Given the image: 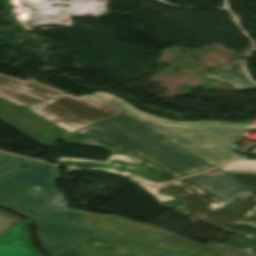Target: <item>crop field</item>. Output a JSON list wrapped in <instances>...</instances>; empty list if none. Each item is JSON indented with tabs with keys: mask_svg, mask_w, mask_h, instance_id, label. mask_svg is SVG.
Here are the masks:
<instances>
[{
	"mask_svg": "<svg viewBox=\"0 0 256 256\" xmlns=\"http://www.w3.org/2000/svg\"><path fill=\"white\" fill-rule=\"evenodd\" d=\"M220 168L225 172H256V160H241Z\"/></svg>",
	"mask_w": 256,
	"mask_h": 256,
	"instance_id": "15",
	"label": "crop field"
},
{
	"mask_svg": "<svg viewBox=\"0 0 256 256\" xmlns=\"http://www.w3.org/2000/svg\"><path fill=\"white\" fill-rule=\"evenodd\" d=\"M93 95L213 167L243 157L233 153L229 146L244 137L241 135L243 131L256 128L255 123L230 121L175 122L140 112L106 93H93Z\"/></svg>",
	"mask_w": 256,
	"mask_h": 256,
	"instance_id": "3",
	"label": "crop field"
},
{
	"mask_svg": "<svg viewBox=\"0 0 256 256\" xmlns=\"http://www.w3.org/2000/svg\"><path fill=\"white\" fill-rule=\"evenodd\" d=\"M33 160L0 153V178Z\"/></svg>",
	"mask_w": 256,
	"mask_h": 256,
	"instance_id": "14",
	"label": "crop field"
},
{
	"mask_svg": "<svg viewBox=\"0 0 256 256\" xmlns=\"http://www.w3.org/2000/svg\"><path fill=\"white\" fill-rule=\"evenodd\" d=\"M0 256H41L28 242L26 229L20 221L0 236Z\"/></svg>",
	"mask_w": 256,
	"mask_h": 256,
	"instance_id": "11",
	"label": "crop field"
},
{
	"mask_svg": "<svg viewBox=\"0 0 256 256\" xmlns=\"http://www.w3.org/2000/svg\"><path fill=\"white\" fill-rule=\"evenodd\" d=\"M65 141L141 157L176 177L213 168L123 113L69 135Z\"/></svg>",
	"mask_w": 256,
	"mask_h": 256,
	"instance_id": "2",
	"label": "crop field"
},
{
	"mask_svg": "<svg viewBox=\"0 0 256 256\" xmlns=\"http://www.w3.org/2000/svg\"><path fill=\"white\" fill-rule=\"evenodd\" d=\"M66 133L54 126L46 136L39 142L43 146L54 145L57 139L62 138Z\"/></svg>",
	"mask_w": 256,
	"mask_h": 256,
	"instance_id": "16",
	"label": "crop field"
},
{
	"mask_svg": "<svg viewBox=\"0 0 256 256\" xmlns=\"http://www.w3.org/2000/svg\"><path fill=\"white\" fill-rule=\"evenodd\" d=\"M250 188L256 190V173H227Z\"/></svg>",
	"mask_w": 256,
	"mask_h": 256,
	"instance_id": "17",
	"label": "crop field"
},
{
	"mask_svg": "<svg viewBox=\"0 0 256 256\" xmlns=\"http://www.w3.org/2000/svg\"><path fill=\"white\" fill-rule=\"evenodd\" d=\"M214 171L216 173L212 175L205 172L188 178L227 201L245 188L243 184L223 174L218 169Z\"/></svg>",
	"mask_w": 256,
	"mask_h": 256,
	"instance_id": "12",
	"label": "crop field"
},
{
	"mask_svg": "<svg viewBox=\"0 0 256 256\" xmlns=\"http://www.w3.org/2000/svg\"><path fill=\"white\" fill-rule=\"evenodd\" d=\"M256 253L211 242L188 256H254ZM55 256H142L91 235Z\"/></svg>",
	"mask_w": 256,
	"mask_h": 256,
	"instance_id": "8",
	"label": "crop field"
},
{
	"mask_svg": "<svg viewBox=\"0 0 256 256\" xmlns=\"http://www.w3.org/2000/svg\"><path fill=\"white\" fill-rule=\"evenodd\" d=\"M34 111L69 132L120 113L92 95L75 97L67 93Z\"/></svg>",
	"mask_w": 256,
	"mask_h": 256,
	"instance_id": "6",
	"label": "crop field"
},
{
	"mask_svg": "<svg viewBox=\"0 0 256 256\" xmlns=\"http://www.w3.org/2000/svg\"><path fill=\"white\" fill-rule=\"evenodd\" d=\"M63 91L35 82L19 80L0 74V98L24 108L37 105Z\"/></svg>",
	"mask_w": 256,
	"mask_h": 256,
	"instance_id": "9",
	"label": "crop field"
},
{
	"mask_svg": "<svg viewBox=\"0 0 256 256\" xmlns=\"http://www.w3.org/2000/svg\"><path fill=\"white\" fill-rule=\"evenodd\" d=\"M78 211L91 235L145 256H186L203 246L152 225Z\"/></svg>",
	"mask_w": 256,
	"mask_h": 256,
	"instance_id": "5",
	"label": "crop field"
},
{
	"mask_svg": "<svg viewBox=\"0 0 256 256\" xmlns=\"http://www.w3.org/2000/svg\"><path fill=\"white\" fill-rule=\"evenodd\" d=\"M19 219L9 216L5 213L0 212V235L8 230L14 223Z\"/></svg>",
	"mask_w": 256,
	"mask_h": 256,
	"instance_id": "18",
	"label": "crop field"
},
{
	"mask_svg": "<svg viewBox=\"0 0 256 256\" xmlns=\"http://www.w3.org/2000/svg\"><path fill=\"white\" fill-rule=\"evenodd\" d=\"M57 177L55 166L34 161L0 179V203L31 215L53 255L89 235L77 210L55 203L63 199L53 185Z\"/></svg>",
	"mask_w": 256,
	"mask_h": 256,
	"instance_id": "1",
	"label": "crop field"
},
{
	"mask_svg": "<svg viewBox=\"0 0 256 256\" xmlns=\"http://www.w3.org/2000/svg\"><path fill=\"white\" fill-rule=\"evenodd\" d=\"M202 76L227 82L237 90H244L256 87L255 85L248 82L244 77L237 76L230 72H224L221 74L203 73Z\"/></svg>",
	"mask_w": 256,
	"mask_h": 256,
	"instance_id": "13",
	"label": "crop field"
},
{
	"mask_svg": "<svg viewBox=\"0 0 256 256\" xmlns=\"http://www.w3.org/2000/svg\"><path fill=\"white\" fill-rule=\"evenodd\" d=\"M139 184L166 207L207 224L256 227V193L247 187L227 202L187 178L158 186Z\"/></svg>",
	"mask_w": 256,
	"mask_h": 256,
	"instance_id": "4",
	"label": "crop field"
},
{
	"mask_svg": "<svg viewBox=\"0 0 256 256\" xmlns=\"http://www.w3.org/2000/svg\"><path fill=\"white\" fill-rule=\"evenodd\" d=\"M59 202H61V203L65 204L64 200H61V201H59ZM57 203H58V202H57Z\"/></svg>",
	"mask_w": 256,
	"mask_h": 256,
	"instance_id": "19",
	"label": "crop field"
},
{
	"mask_svg": "<svg viewBox=\"0 0 256 256\" xmlns=\"http://www.w3.org/2000/svg\"><path fill=\"white\" fill-rule=\"evenodd\" d=\"M0 120L36 142L53 125L29 110L3 99H0Z\"/></svg>",
	"mask_w": 256,
	"mask_h": 256,
	"instance_id": "10",
	"label": "crop field"
},
{
	"mask_svg": "<svg viewBox=\"0 0 256 256\" xmlns=\"http://www.w3.org/2000/svg\"><path fill=\"white\" fill-rule=\"evenodd\" d=\"M57 161L59 165L75 170L113 172L148 183H160L174 179L173 176L147 161L129 156L111 154L105 162L72 158H58Z\"/></svg>",
	"mask_w": 256,
	"mask_h": 256,
	"instance_id": "7",
	"label": "crop field"
}]
</instances>
